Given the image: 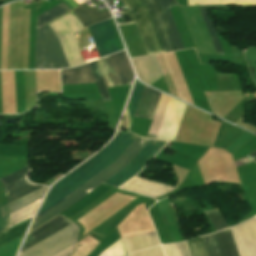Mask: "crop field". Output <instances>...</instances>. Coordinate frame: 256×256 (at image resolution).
Segmentation results:
<instances>
[{"label":"crop field","mask_w":256,"mask_h":256,"mask_svg":"<svg viewBox=\"0 0 256 256\" xmlns=\"http://www.w3.org/2000/svg\"><path fill=\"white\" fill-rule=\"evenodd\" d=\"M30 221V220H29ZM29 221L3 233L0 235V246L24 235L25 231H26V228L29 224Z\"/></svg>","instance_id":"obj_21"},{"label":"crop field","mask_w":256,"mask_h":256,"mask_svg":"<svg viewBox=\"0 0 256 256\" xmlns=\"http://www.w3.org/2000/svg\"><path fill=\"white\" fill-rule=\"evenodd\" d=\"M72 222L68 221L62 216H58L51 220L50 222L46 223L42 227L30 232L25 242L22 246L21 252L26 250L27 248L33 246L34 244L40 242L41 240L45 239L46 237L52 235L53 233L59 231L60 229L66 227L67 225L71 224Z\"/></svg>","instance_id":"obj_11"},{"label":"crop field","mask_w":256,"mask_h":256,"mask_svg":"<svg viewBox=\"0 0 256 256\" xmlns=\"http://www.w3.org/2000/svg\"><path fill=\"white\" fill-rule=\"evenodd\" d=\"M41 199L13 212L10 214L9 218V226L8 229L31 218L39 204ZM8 217L9 215L5 216L2 218V225L0 228V233L4 232L7 230V225H8Z\"/></svg>","instance_id":"obj_16"},{"label":"crop field","mask_w":256,"mask_h":256,"mask_svg":"<svg viewBox=\"0 0 256 256\" xmlns=\"http://www.w3.org/2000/svg\"><path fill=\"white\" fill-rule=\"evenodd\" d=\"M160 7H161V10L163 12V15L165 17V20L167 22V25L170 29V32L172 34V37L174 39V42L176 44V47L178 50H181V49H184L183 46H182V43H181V40L179 38V35H178V32L176 30V27L174 25V22H173V19L171 17V14H170V11L168 9V7H171V6H176L178 5L176 0H157Z\"/></svg>","instance_id":"obj_19"},{"label":"crop field","mask_w":256,"mask_h":256,"mask_svg":"<svg viewBox=\"0 0 256 256\" xmlns=\"http://www.w3.org/2000/svg\"><path fill=\"white\" fill-rule=\"evenodd\" d=\"M206 215L208 216L216 231L228 228V225L226 224L218 209L206 212Z\"/></svg>","instance_id":"obj_27"},{"label":"crop field","mask_w":256,"mask_h":256,"mask_svg":"<svg viewBox=\"0 0 256 256\" xmlns=\"http://www.w3.org/2000/svg\"><path fill=\"white\" fill-rule=\"evenodd\" d=\"M89 64L91 66L92 72H93L95 80L97 82V86H98L99 92L101 94L102 100L103 101L111 100L110 96L108 94V91L105 87V84L103 82V79H102L100 70L98 68L97 62L94 61V62H90Z\"/></svg>","instance_id":"obj_24"},{"label":"crop field","mask_w":256,"mask_h":256,"mask_svg":"<svg viewBox=\"0 0 256 256\" xmlns=\"http://www.w3.org/2000/svg\"><path fill=\"white\" fill-rule=\"evenodd\" d=\"M62 85L95 83L89 64L61 70Z\"/></svg>","instance_id":"obj_13"},{"label":"crop field","mask_w":256,"mask_h":256,"mask_svg":"<svg viewBox=\"0 0 256 256\" xmlns=\"http://www.w3.org/2000/svg\"><path fill=\"white\" fill-rule=\"evenodd\" d=\"M129 256H163L160 246L145 251L131 254Z\"/></svg>","instance_id":"obj_29"},{"label":"crop field","mask_w":256,"mask_h":256,"mask_svg":"<svg viewBox=\"0 0 256 256\" xmlns=\"http://www.w3.org/2000/svg\"><path fill=\"white\" fill-rule=\"evenodd\" d=\"M70 11L67 6L63 3L61 5H59L58 7L38 16V23H37V27L53 20L54 18L66 13Z\"/></svg>","instance_id":"obj_23"},{"label":"crop field","mask_w":256,"mask_h":256,"mask_svg":"<svg viewBox=\"0 0 256 256\" xmlns=\"http://www.w3.org/2000/svg\"><path fill=\"white\" fill-rule=\"evenodd\" d=\"M69 67L60 42L47 25L37 29L36 69H62Z\"/></svg>","instance_id":"obj_3"},{"label":"crop field","mask_w":256,"mask_h":256,"mask_svg":"<svg viewBox=\"0 0 256 256\" xmlns=\"http://www.w3.org/2000/svg\"><path fill=\"white\" fill-rule=\"evenodd\" d=\"M127 253L158 245L156 233H147L121 238Z\"/></svg>","instance_id":"obj_15"},{"label":"crop field","mask_w":256,"mask_h":256,"mask_svg":"<svg viewBox=\"0 0 256 256\" xmlns=\"http://www.w3.org/2000/svg\"><path fill=\"white\" fill-rule=\"evenodd\" d=\"M128 134L129 132L120 131L106 147H104L101 151H99L96 155L90 158L79 168H77L76 170L74 169L75 171L68 174L60 181H58L55 185H53L49 193L47 194L37 216L62 201L68 195L73 193L79 187L84 185L90 179H92L101 171L114 163L120 157V155L131 145V143L138 137L132 133H130L129 135Z\"/></svg>","instance_id":"obj_2"},{"label":"crop field","mask_w":256,"mask_h":256,"mask_svg":"<svg viewBox=\"0 0 256 256\" xmlns=\"http://www.w3.org/2000/svg\"><path fill=\"white\" fill-rule=\"evenodd\" d=\"M244 158H248V159H251V160L255 161L256 160V151L247 155V156H245V157H243V158H241V159H244ZM248 159H245L243 161H241L239 159V160L235 161L236 166L238 167V166L244 165L246 163L252 162L251 160H248Z\"/></svg>","instance_id":"obj_30"},{"label":"crop field","mask_w":256,"mask_h":256,"mask_svg":"<svg viewBox=\"0 0 256 256\" xmlns=\"http://www.w3.org/2000/svg\"><path fill=\"white\" fill-rule=\"evenodd\" d=\"M79 227L74 223L20 253L19 256H51L76 242Z\"/></svg>","instance_id":"obj_6"},{"label":"crop field","mask_w":256,"mask_h":256,"mask_svg":"<svg viewBox=\"0 0 256 256\" xmlns=\"http://www.w3.org/2000/svg\"><path fill=\"white\" fill-rule=\"evenodd\" d=\"M188 243L193 256H208L201 237L188 241Z\"/></svg>","instance_id":"obj_28"},{"label":"crop field","mask_w":256,"mask_h":256,"mask_svg":"<svg viewBox=\"0 0 256 256\" xmlns=\"http://www.w3.org/2000/svg\"><path fill=\"white\" fill-rule=\"evenodd\" d=\"M46 189H47L46 187H43L31 194L19 199V200L1 208V217L43 197Z\"/></svg>","instance_id":"obj_20"},{"label":"crop field","mask_w":256,"mask_h":256,"mask_svg":"<svg viewBox=\"0 0 256 256\" xmlns=\"http://www.w3.org/2000/svg\"><path fill=\"white\" fill-rule=\"evenodd\" d=\"M122 2L131 12L148 54L165 52L145 3L142 0H122Z\"/></svg>","instance_id":"obj_4"},{"label":"crop field","mask_w":256,"mask_h":256,"mask_svg":"<svg viewBox=\"0 0 256 256\" xmlns=\"http://www.w3.org/2000/svg\"><path fill=\"white\" fill-rule=\"evenodd\" d=\"M199 8H200L201 13H202V15H203V18H204V20H205V23H206V25H207L208 31H209V33H210V36H211V38H212V41H213V43H214V46H215V48H216L217 53H218V54H221V55H224V54H223V51H222V49H221L220 43H219V41H218L217 35H216V33H215V31H214V28H213V26H212V23H211V21H210L208 15H207L206 9H204V8H202V7H199Z\"/></svg>","instance_id":"obj_26"},{"label":"crop field","mask_w":256,"mask_h":256,"mask_svg":"<svg viewBox=\"0 0 256 256\" xmlns=\"http://www.w3.org/2000/svg\"><path fill=\"white\" fill-rule=\"evenodd\" d=\"M73 247H74V244L71 245V246H69L68 248H66V249H64V250H62V251H60L59 253H57V254H55V255H53V256H67L68 254L72 253ZM74 250H75V248H74ZM73 253H74V251H73ZM73 253H72V254H73ZM72 254H70V255H72ZM70 255H68V256H70Z\"/></svg>","instance_id":"obj_31"},{"label":"crop field","mask_w":256,"mask_h":256,"mask_svg":"<svg viewBox=\"0 0 256 256\" xmlns=\"http://www.w3.org/2000/svg\"><path fill=\"white\" fill-rule=\"evenodd\" d=\"M230 230L239 256H256V217Z\"/></svg>","instance_id":"obj_7"},{"label":"crop field","mask_w":256,"mask_h":256,"mask_svg":"<svg viewBox=\"0 0 256 256\" xmlns=\"http://www.w3.org/2000/svg\"><path fill=\"white\" fill-rule=\"evenodd\" d=\"M144 2L150 10L165 51L169 52L177 50L157 1L144 0Z\"/></svg>","instance_id":"obj_12"},{"label":"crop field","mask_w":256,"mask_h":256,"mask_svg":"<svg viewBox=\"0 0 256 256\" xmlns=\"http://www.w3.org/2000/svg\"><path fill=\"white\" fill-rule=\"evenodd\" d=\"M170 99H171V97L161 94L154 118L152 120V123L150 125L148 132L155 133V134L158 133ZM150 133H148L147 137L156 138L157 135L150 134Z\"/></svg>","instance_id":"obj_18"},{"label":"crop field","mask_w":256,"mask_h":256,"mask_svg":"<svg viewBox=\"0 0 256 256\" xmlns=\"http://www.w3.org/2000/svg\"><path fill=\"white\" fill-rule=\"evenodd\" d=\"M202 238L209 256H238L229 229Z\"/></svg>","instance_id":"obj_9"},{"label":"crop field","mask_w":256,"mask_h":256,"mask_svg":"<svg viewBox=\"0 0 256 256\" xmlns=\"http://www.w3.org/2000/svg\"><path fill=\"white\" fill-rule=\"evenodd\" d=\"M159 92V91H158ZM144 87L135 116L152 119L161 93Z\"/></svg>","instance_id":"obj_14"},{"label":"crop field","mask_w":256,"mask_h":256,"mask_svg":"<svg viewBox=\"0 0 256 256\" xmlns=\"http://www.w3.org/2000/svg\"><path fill=\"white\" fill-rule=\"evenodd\" d=\"M120 188L154 198L161 197L162 195L175 190V187L173 186L165 185L139 177H133L125 184L120 186Z\"/></svg>","instance_id":"obj_10"},{"label":"crop field","mask_w":256,"mask_h":256,"mask_svg":"<svg viewBox=\"0 0 256 256\" xmlns=\"http://www.w3.org/2000/svg\"><path fill=\"white\" fill-rule=\"evenodd\" d=\"M140 138V137H139ZM137 138L133 144L121 155V157L106 170L101 172L95 178L90 180L84 186L79 188L73 194L68 196L62 202L52 207L48 211L44 212L40 216L36 217L31 229L40 225L44 221L48 220L52 216L56 215L60 211L64 210L72 203L80 199L82 196L87 194L89 191L97 187L123 166H125L135 155L136 153L149 141L139 152L138 154L120 171L110 177L104 182V184L112 186H120L122 183L127 181L129 178L138 173L155 155L156 153L167 143V141H158V140H148L144 141ZM30 229V230H31Z\"/></svg>","instance_id":"obj_1"},{"label":"crop field","mask_w":256,"mask_h":256,"mask_svg":"<svg viewBox=\"0 0 256 256\" xmlns=\"http://www.w3.org/2000/svg\"><path fill=\"white\" fill-rule=\"evenodd\" d=\"M143 87H144V85L139 83L136 80L134 89L132 91L131 97H130L128 105H127L128 112H129V115H130V118H131V122H132L133 115H134L135 109L137 107L140 95L142 93Z\"/></svg>","instance_id":"obj_25"},{"label":"crop field","mask_w":256,"mask_h":256,"mask_svg":"<svg viewBox=\"0 0 256 256\" xmlns=\"http://www.w3.org/2000/svg\"><path fill=\"white\" fill-rule=\"evenodd\" d=\"M29 171L28 167H24L2 179L8 191V204L43 187L35 186L26 181L25 175Z\"/></svg>","instance_id":"obj_8"},{"label":"crop field","mask_w":256,"mask_h":256,"mask_svg":"<svg viewBox=\"0 0 256 256\" xmlns=\"http://www.w3.org/2000/svg\"><path fill=\"white\" fill-rule=\"evenodd\" d=\"M73 11L84 27L112 17L109 11L100 13L96 7L87 10L84 4Z\"/></svg>","instance_id":"obj_17"},{"label":"crop field","mask_w":256,"mask_h":256,"mask_svg":"<svg viewBox=\"0 0 256 256\" xmlns=\"http://www.w3.org/2000/svg\"><path fill=\"white\" fill-rule=\"evenodd\" d=\"M162 248L165 256H191L186 242L164 245Z\"/></svg>","instance_id":"obj_22"},{"label":"crop field","mask_w":256,"mask_h":256,"mask_svg":"<svg viewBox=\"0 0 256 256\" xmlns=\"http://www.w3.org/2000/svg\"><path fill=\"white\" fill-rule=\"evenodd\" d=\"M109 68L114 76L118 86L128 85L132 83L134 75L132 73L128 58L124 51L105 58ZM105 59L98 60L100 70L105 80L107 88L116 87V83L108 68Z\"/></svg>","instance_id":"obj_5"}]
</instances>
